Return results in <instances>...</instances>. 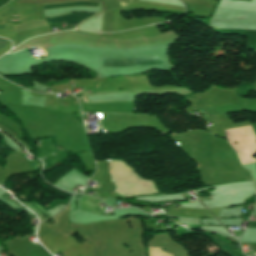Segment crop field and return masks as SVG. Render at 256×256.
Wrapping results in <instances>:
<instances>
[{
  "mask_svg": "<svg viewBox=\"0 0 256 256\" xmlns=\"http://www.w3.org/2000/svg\"><path fill=\"white\" fill-rule=\"evenodd\" d=\"M56 252V250H54Z\"/></svg>",
  "mask_w": 256,
  "mask_h": 256,
  "instance_id": "obj_5",
  "label": "crop field"
},
{
  "mask_svg": "<svg viewBox=\"0 0 256 256\" xmlns=\"http://www.w3.org/2000/svg\"><path fill=\"white\" fill-rule=\"evenodd\" d=\"M8 42L0 39V49L7 45Z\"/></svg>",
  "mask_w": 256,
  "mask_h": 256,
  "instance_id": "obj_3",
  "label": "crop field"
},
{
  "mask_svg": "<svg viewBox=\"0 0 256 256\" xmlns=\"http://www.w3.org/2000/svg\"><path fill=\"white\" fill-rule=\"evenodd\" d=\"M90 16H92V14L71 13V14L63 15V16L56 17V18H50V19H47V21L49 22V24L59 22V21H65V22L69 23V25H73V24L80 23L82 20H84Z\"/></svg>",
  "mask_w": 256,
  "mask_h": 256,
  "instance_id": "obj_1",
  "label": "crop field"
},
{
  "mask_svg": "<svg viewBox=\"0 0 256 256\" xmlns=\"http://www.w3.org/2000/svg\"><path fill=\"white\" fill-rule=\"evenodd\" d=\"M101 65H130V59L103 58Z\"/></svg>",
  "mask_w": 256,
  "mask_h": 256,
  "instance_id": "obj_2",
  "label": "crop field"
},
{
  "mask_svg": "<svg viewBox=\"0 0 256 256\" xmlns=\"http://www.w3.org/2000/svg\"><path fill=\"white\" fill-rule=\"evenodd\" d=\"M108 166V165H107ZM109 174V173H108Z\"/></svg>",
  "mask_w": 256,
  "mask_h": 256,
  "instance_id": "obj_6",
  "label": "crop field"
},
{
  "mask_svg": "<svg viewBox=\"0 0 256 256\" xmlns=\"http://www.w3.org/2000/svg\"><path fill=\"white\" fill-rule=\"evenodd\" d=\"M84 101V100H83ZM84 103H86L85 101H84Z\"/></svg>",
  "mask_w": 256,
  "mask_h": 256,
  "instance_id": "obj_4",
  "label": "crop field"
}]
</instances>
